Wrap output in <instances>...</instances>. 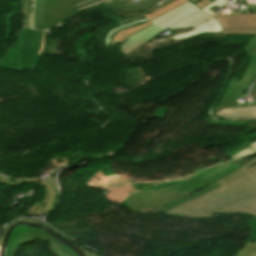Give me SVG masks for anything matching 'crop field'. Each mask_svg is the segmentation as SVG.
I'll use <instances>...</instances> for the list:
<instances>
[{
  "label": "crop field",
  "mask_w": 256,
  "mask_h": 256,
  "mask_svg": "<svg viewBox=\"0 0 256 256\" xmlns=\"http://www.w3.org/2000/svg\"><path fill=\"white\" fill-rule=\"evenodd\" d=\"M256 163V158L230 175L216 181L221 186L165 213L196 218L210 217L212 212L230 204L256 197V177L245 169Z\"/></svg>",
  "instance_id": "8a807250"
},
{
  "label": "crop field",
  "mask_w": 256,
  "mask_h": 256,
  "mask_svg": "<svg viewBox=\"0 0 256 256\" xmlns=\"http://www.w3.org/2000/svg\"><path fill=\"white\" fill-rule=\"evenodd\" d=\"M34 239H44L49 241L50 251L55 253L57 256H76V253L73 252L70 248L64 246L49 234H46L43 230L38 228H28L24 226H19L14 229L9 237V244L6 249V256H14L17 247L22 242H27Z\"/></svg>",
  "instance_id": "ac0d7876"
},
{
  "label": "crop field",
  "mask_w": 256,
  "mask_h": 256,
  "mask_svg": "<svg viewBox=\"0 0 256 256\" xmlns=\"http://www.w3.org/2000/svg\"><path fill=\"white\" fill-rule=\"evenodd\" d=\"M45 31H33L24 28L17 37L21 41V56L16 70L21 71L27 67H37L45 44Z\"/></svg>",
  "instance_id": "34b2d1b8"
},
{
  "label": "crop field",
  "mask_w": 256,
  "mask_h": 256,
  "mask_svg": "<svg viewBox=\"0 0 256 256\" xmlns=\"http://www.w3.org/2000/svg\"><path fill=\"white\" fill-rule=\"evenodd\" d=\"M80 0H47L44 11V21L38 24V29L45 30L54 27L71 15L79 12L73 5Z\"/></svg>",
  "instance_id": "412701ff"
},
{
  "label": "crop field",
  "mask_w": 256,
  "mask_h": 256,
  "mask_svg": "<svg viewBox=\"0 0 256 256\" xmlns=\"http://www.w3.org/2000/svg\"><path fill=\"white\" fill-rule=\"evenodd\" d=\"M198 9L191 1L188 3L180 6L179 8L162 15L154 20H152V24L155 28L158 30L164 32L167 29H169L173 24L180 21L183 18L188 17L189 15L199 11Z\"/></svg>",
  "instance_id": "f4fd0767"
},
{
  "label": "crop field",
  "mask_w": 256,
  "mask_h": 256,
  "mask_svg": "<svg viewBox=\"0 0 256 256\" xmlns=\"http://www.w3.org/2000/svg\"><path fill=\"white\" fill-rule=\"evenodd\" d=\"M161 32L155 29L153 26H150L133 36L129 37L128 40L122 44L121 52L125 55L131 53V51L135 50L139 46L153 40L156 36H158Z\"/></svg>",
  "instance_id": "dd49c442"
},
{
  "label": "crop field",
  "mask_w": 256,
  "mask_h": 256,
  "mask_svg": "<svg viewBox=\"0 0 256 256\" xmlns=\"http://www.w3.org/2000/svg\"><path fill=\"white\" fill-rule=\"evenodd\" d=\"M223 29L256 28V14L215 17Z\"/></svg>",
  "instance_id": "e52e79f7"
},
{
  "label": "crop field",
  "mask_w": 256,
  "mask_h": 256,
  "mask_svg": "<svg viewBox=\"0 0 256 256\" xmlns=\"http://www.w3.org/2000/svg\"><path fill=\"white\" fill-rule=\"evenodd\" d=\"M113 12H116L118 15L121 16H126V17H130L133 16L132 18H126L124 20H120L117 21L118 24L116 25H111L110 27H112L113 29L109 31V33L107 34L106 38H105V43L106 46H108L109 41L111 40L112 36L121 28L124 27H128V26H132L135 24H139V23H143V22H147L149 20H147L143 15H141L139 12L134 11V12H121L118 11L116 9L113 8L112 10Z\"/></svg>",
  "instance_id": "d8731c3e"
},
{
  "label": "crop field",
  "mask_w": 256,
  "mask_h": 256,
  "mask_svg": "<svg viewBox=\"0 0 256 256\" xmlns=\"http://www.w3.org/2000/svg\"><path fill=\"white\" fill-rule=\"evenodd\" d=\"M243 47L251 62L242 80L253 82L256 79V35Z\"/></svg>",
  "instance_id": "5a996713"
},
{
  "label": "crop field",
  "mask_w": 256,
  "mask_h": 256,
  "mask_svg": "<svg viewBox=\"0 0 256 256\" xmlns=\"http://www.w3.org/2000/svg\"><path fill=\"white\" fill-rule=\"evenodd\" d=\"M215 115L223 117V118H232V119L256 118V106L223 109V110L215 113Z\"/></svg>",
  "instance_id": "3316defc"
},
{
  "label": "crop field",
  "mask_w": 256,
  "mask_h": 256,
  "mask_svg": "<svg viewBox=\"0 0 256 256\" xmlns=\"http://www.w3.org/2000/svg\"><path fill=\"white\" fill-rule=\"evenodd\" d=\"M43 187L45 190L43 203L31 215H45L50 212L53 206L56 194L52 189V185L48 184Z\"/></svg>",
  "instance_id": "28ad6ade"
},
{
  "label": "crop field",
  "mask_w": 256,
  "mask_h": 256,
  "mask_svg": "<svg viewBox=\"0 0 256 256\" xmlns=\"http://www.w3.org/2000/svg\"><path fill=\"white\" fill-rule=\"evenodd\" d=\"M210 16L205 14L202 10L189 16L186 19L181 20L179 23L175 24L171 27V29L175 28H183V27H191L195 28L202 24L206 19H208Z\"/></svg>",
  "instance_id": "d1516ede"
},
{
  "label": "crop field",
  "mask_w": 256,
  "mask_h": 256,
  "mask_svg": "<svg viewBox=\"0 0 256 256\" xmlns=\"http://www.w3.org/2000/svg\"><path fill=\"white\" fill-rule=\"evenodd\" d=\"M161 1H163V0H147V1L134 3V4H131V5L125 6L121 0H116V1H113L109 4H106L104 6L114 7L116 9L122 10V11H134V10H138V9L148 7L150 5L157 4Z\"/></svg>",
  "instance_id": "22f410ed"
},
{
  "label": "crop field",
  "mask_w": 256,
  "mask_h": 256,
  "mask_svg": "<svg viewBox=\"0 0 256 256\" xmlns=\"http://www.w3.org/2000/svg\"><path fill=\"white\" fill-rule=\"evenodd\" d=\"M222 31L220 24L218 21H216L213 17L209 19L205 24H203L201 27L196 29L195 31L189 33V34H181L175 37H172L173 39H183V38H188L190 36L196 35L198 33L202 32H219Z\"/></svg>",
  "instance_id": "cbeb9de0"
},
{
  "label": "crop field",
  "mask_w": 256,
  "mask_h": 256,
  "mask_svg": "<svg viewBox=\"0 0 256 256\" xmlns=\"http://www.w3.org/2000/svg\"><path fill=\"white\" fill-rule=\"evenodd\" d=\"M217 212H231V213L244 212V213H248L256 216V199L250 200L244 203H240V204L231 205L224 209L218 210Z\"/></svg>",
  "instance_id": "5142ce71"
},
{
  "label": "crop field",
  "mask_w": 256,
  "mask_h": 256,
  "mask_svg": "<svg viewBox=\"0 0 256 256\" xmlns=\"http://www.w3.org/2000/svg\"><path fill=\"white\" fill-rule=\"evenodd\" d=\"M151 25V22H147V23H143V24H139V25H135L132 27H128V28H124L120 31H118L112 41H111V45H114L116 42H122L124 41L128 36L142 30L143 28L147 27Z\"/></svg>",
  "instance_id": "d9b57169"
},
{
  "label": "crop field",
  "mask_w": 256,
  "mask_h": 256,
  "mask_svg": "<svg viewBox=\"0 0 256 256\" xmlns=\"http://www.w3.org/2000/svg\"><path fill=\"white\" fill-rule=\"evenodd\" d=\"M250 82L240 81L237 83L231 82L228 92L225 95V98L223 99L222 103L216 108V111H219L225 107L226 102L228 99L239 92L246 91L247 87L250 85Z\"/></svg>",
  "instance_id": "733c2abd"
},
{
  "label": "crop field",
  "mask_w": 256,
  "mask_h": 256,
  "mask_svg": "<svg viewBox=\"0 0 256 256\" xmlns=\"http://www.w3.org/2000/svg\"><path fill=\"white\" fill-rule=\"evenodd\" d=\"M249 138L250 137H248V139L246 140V143L243 144V147L233 152V155L230 156L231 160L243 158L256 153V142L248 143Z\"/></svg>",
  "instance_id": "4a817a6b"
},
{
  "label": "crop field",
  "mask_w": 256,
  "mask_h": 256,
  "mask_svg": "<svg viewBox=\"0 0 256 256\" xmlns=\"http://www.w3.org/2000/svg\"><path fill=\"white\" fill-rule=\"evenodd\" d=\"M217 186H219V184H217L216 182L212 183L211 186H209V187H207L205 189H202V190H200L198 192H195V193H193L191 195H188V196H186V197H184L182 199H179V200L174 201V202H172L170 204H167L164 208L161 209L160 212L163 213V212H165V211H167V210H169V209H171V208H173V207H175V206H177V205H179V204H181L183 202H186V201H188V200H190L192 198H195V197H197V196H199V195H201V194H203V193H205V192H207V191H209V190H211V189H213V188H215Z\"/></svg>",
  "instance_id": "bc2a9ffb"
},
{
  "label": "crop field",
  "mask_w": 256,
  "mask_h": 256,
  "mask_svg": "<svg viewBox=\"0 0 256 256\" xmlns=\"http://www.w3.org/2000/svg\"><path fill=\"white\" fill-rule=\"evenodd\" d=\"M185 2H187V1L186 0H176L175 2L165 6V7L161 8V9L151 13V14L145 15V16H146L147 19H149L151 21L152 19L158 17L159 15H162V14H164V13H166V12L176 8V7H178V6L182 5V4H184Z\"/></svg>",
  "instance_id": "214f88e0"
},
{
  "label": "crop field",
  "mask_w": 256,
  "mask_h": 256,
  "mask_svg": "<svg viewBox=\"0 0 256 256\" xmlns=\"http://www.w3.org/2000/svg\"><path fill=\"white\" fill-rule=\"evenodd\" d=\"M234 256H256V242L248 241Z\"/></svg>",
  "instance_id": "92a150f3"
},
{
  "label": "crop field",
  "mask_w": 256,
  "mask_h": 256,
  "mask_svg": "<svg viewBox=\"0 0 256 256\" xmlns=\"http://www.w3.org/2000/svg\"><path fill=\"white\" fill-rule=\"evenodd\" d=\"M46 5V0H36V10L34 16V29H37V23L43 21V10Z\"/></svg>",
  "instance_id": "dafd665d"
},
{
  "label": "crop field",
  "mask_w": 256,
  "mask_h": 256,
  "mask_svg": "<svg viewBox=\"0 0 256 256\" xmlns=\"http://www.w3.org/2000/svg\"><path fill=\"white\" fill-rule=\"evenodd\" d=\"M219 34H256V29H230Z\"/></svg>",
  "instance_id": "00972430"
},
{
  "label": "crop field",
  "mask_w": 256,
  "mask_h": 256,
  "mask_svg": "<svg viewBox=\"0 0 256 256\" xmlns=\"http://www.w3.org/2000/svg\"><path fill=\"white\" fill-rule=\"evenodd\" d=\"M0 182L7 185L18 186L29 182V180H14L0 176Z\"/></svg>",
  "instance_id": "a9b5d70f"
},
{
  "label": "crop field",
  "mask_w": 256,
  "mask_h": 256,
  "mask_svg": "<svg viewBox=\"0 0 256 256\" xmlns=\"http://www.w3.org/2000/svg\"><path fill=\"white\" fill-rule=\"evenodd\" d=\"M31 2L32 0H26V11H25V22H24V26L26 27H29L28 21H29V14L31 11Z\"/></svg>",
  "instance_id": "4177f3b9"
},
{
  "label": "crop field",
  "mask_w": 256,
  "mask_h": 256,
  "mask_svg": "<svg viewBox=\"0 0 256 256\" xmlns=\"http://www.w3.org/2000/svg\"><path fill=\"white\" fill-rule=\"evenodd\" d=\"M225 1H226V0H217V1H215L214 3H212L211 5H209L208 7L204 8V9H202V10H203L205 13L209 14L210 16H212V15H214V13L210 12V11H209V8L212 7V6H214V5H217L218 7H220V6L224 5V4H226Z\"/></svg>",
  "instance_id": "730fd06b"
},
{
  "label": "crop field",
  "mask_w": 256,
  "mask_h": 256,
  "mask_svg": "<svg viewBox=\"0 0 256 256\" xmlns=\"http://www.w3.org/2000/svg\"><path fill=\"white\" fill-rule=\"evenodd\" d=\"M107 1H109V0H96V1L91 2V3H88V4H86V5L77 7V9H78L79 11H81V10H84V9H86V8L93 7V6H96V5L100 4V3H104V2H107Z\"/></svg>",
  "instance_id": "eef30255"
},
{
  "label": "crop field",
  "mask_w": 256,
  "mask_h": 256,
  "mask_svg": "<svg viewBox=\"0 0 256 256\" xmlns=\"http://www.w3.org/2000/svg\"><path fill=\"white\" fill-rule=\"evenodd\" d=\"M242 93H243V92H242ZM242 93L236 94V95H234L233 97H231V98L229 99V101L227 102V104H226V108H227V107L236 106V103H235V101H234V98L240 96Z\"/></svg>",
  "instance_id": "ae1a2a85"
},
{
  "label": "crop field",
  "mask_w": 256,
  "mask_h": 256,
  "mask_svg": "<svg viewBox=\"0 0 256 256\" xmlns=\"http://www.w3.org/2000/svg\"><path fill=\"white\" fill-rule=\"evenodd\" d=\"M209 4H211V3L208 0H201V1L197 2V3H195V5L197 7H199L200 9L206 7Z\"/></svg>",
  "instance_id": "d3111659"
},
{
  "label": "crop field",
  "mask_w": 256,
  "mask_h": 256,
  "mask_svg": "<svg viewBox=\"0 0 256 256\" xmlns=\"http://www.w3.org/2000/svg\"><path fill=\"white\" fill-rule=\"evenodd\" d=\"M33 7H32V12H31V15H30V21H29V26L31 28H33V16H34V9H35V0H33Z\"/></svg>",
  "instance_id": "750c4746"
},
{
  "label": "crop field",
  "mask_w": 256,
  "mask_h": 256,
  "mask_svg": "<svg viewBox=\"0 0 256 256\" xmlns=\"http://www.w3.org/2000/svg\"><path fill=\"white\" fill-rule=\"evenodd\" d=\"M22 222H35V223H38V222H36V221H31V220H25V221H22ZM17 223V222H16ZM15 224V223H14ZM13 225V224H12ZM10 227V226H9ZM8 227V228H9ZM8 228H6L5 229V231L0 235V246H2V242H3V238H4V235H5V232L7 231V229Z\"/></svg>",
  "instance_id": "bd1437ed"
},
{
  "label": "crop field",
  "mask_w": 256,
  "mask_h": 256,
  "mask_svg": "<svg viewBox=\"0 0 256 256\" xmlns=\"http://www.w3.org/2000/svg\"><path fill=\"white\" fill-rule=\"evenodd\" d=\"M76 245H77V244H76ZM77 246H79V245H77ZM79 247L83 250L85 256H98V255H96V254H94V253H92V252H90V251H88V250L82 248L81 246H79Z\"/></svg>",
  "instance_id": "1d83c4d3"
},
{
  "label": "crop field",
  "mask_w": 256,
  "mask_h": 256,
  "mask_svg": "<svg viewBox=\"0 0 256 256\" xmlns=\"http://www.w3.org/2000/svg\"><path fill=\"white\" fill-rule=\"evenodd\" d=\"M246 170H248L250 173H252L253 175L256 176V164L253 165V166H251V167H249V168L246 169Z\"/></svg>",
  "instance_id": "120bbe31"
},
{
  "label": "crop field",
  "mask_w": 256,
  "mask_h": 256,
  "mask_svg": "<svg viewBox=\"0 0 256 256\" xmlns=\"http://www.w3.org/2000/svg\"><path fill=\"white\" fill-rule=\"evenodd\" d=\"M21 2H22V13H23L22 22H23L24 21V11H25V0H21Z\"/></svg>",
  "instance_id": "d32e631a"
},
{
  "label": "crop field",
  "mask_w": 256,
  "mask_h": 256,
  "mask_svg": "<svg viewBox=\"0 0 256 256\" xmlns=\"http://www.w3.org/2000/svg\"><path fill=\"white\" fill-rule=\"evenodd\" d=\"M91 1H93V0H85V1H83V2H81V3H79V4H77V5H75V7L80 6V5H83V4L88 3V2H91Z\"/></svg>",
  "instance_id": "5866460e"
},
{
  "label": "crop field",
  "mask_w": 256,
  "mask_h": 256,
  "mask_svg": "<svg viewBox=\"0 0 256 256\" xmlns=\"http://www.w3.org/2000/svg\"><path fill=\"white\" fill-rule=\"evenodd\" d=\"M252 91H253L254 96L256 97V84H255V86H254Z\"/></svg>",
  "instance_id": "028f5c9d"
},
{
  "label": "crop field",
  "mask_w": 256,
  "mask_h": 256,
  "mask_svg": "<svg viewBox=\"0 0 256 256\" xmlns=\"http://www.w3.org/2000/svg\"><path fill=\"white\" fill-rule=\"evenodd\" d=\"M252 128H251V130H256V126L254 125V124H249Z\"/></svg>",
  "instance_id": "e1f06a70"
},
{
  "label": "crop field",
  "mask_w": 256,
  "mask_h": 256,
  "mask_svg": "<svg viewBox=\"0 0 256 256\" xmlns=\"http://www.w3.org/2000/svg\"><path fill=\"white\" fill-rule=\"evenodd\" d=\"M193 3H195V2H197V1H199V0H191Z\"/></svg>",
  "instance_id": "0bd39190"
},
{
  "label": "crop field",
  "mask_w": 256,
  "mask_h": 256,
  "mask_svg": "<svg viewBox=\"0 0 256 256\" xmlns=\"http://www.w3.org/2000/svg\"><path fill=\"white\" fill-rule=\"evenodd\" d=\"M0 249H1V247H0Z\"/></svg>",
  "instance_id": "b80d0937"
},
{
  "label": "crop field",
  "mask_w": 256,
  "mask_h": 256,
  "mask_svg": "<svg viewBox=\"0 0 256 256\" xmlns=\"http://www.w3.org/2000/svg\"><path fill=\"white\" fill-rule=\"evenodd\" d=\"M82 1V0H81Z\"/></svg>",
  "instance_id": "c035e120"
}]
</instances>
